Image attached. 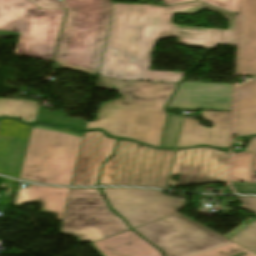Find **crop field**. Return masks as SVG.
Instances as JSON below:
<instances>
[{
  "label": "crop field",
  "instance_id": "crop-field-1",
  "mask_svg": "<svg viewBox=\"0 0 256 256\" xmlns=\"http://www.w3.org/2000/svg\"><path fill=\"white\" fill-rule=\"evenodd\" d=\"M114 14L99 75L121 80L178 82L184 72L149 71L155 41L178 36L177 44L212 48L235 44L237 15L192 2L169 7L114 3ZM200 9L217 12L231 23L229 30L177 26L173 14H194Z\"/></svg>",
  "mask_w": 256,
  "mask_h": 256
},
{
  "label": "crop field",
  "instance_id": "crop-field-2",
  "mask_svg": "<svg viewBox=\"0 0 256 256\" xmlns=\"http://www.w3.org/2000/svg\"><path fill=\"white\" fill-rule=\"evenodd\" d=\"M176 83L128 81L98 77L95 87L119 91L121 98L101 105L95 122L85 130L103 129L106 133L158 147L165 118V105Z\"/></svg>",
  "mask_w": 256,
  "mask_h": 256
},
{
  "label": "crop field",
  "instance_id": "crop-field-3",
  "mask_svg": "<svg viewBox=\"0 0 256 256\" xmlns=\"http://www.w3.org/2000/svg\"><path fill=\"white\" fill-rule=\"evenodd\" d=\"M38 8L65 9L58 0H31ZM68 7L55 60L94 74L99 73L108 26L113 14L111 0H65Z\"/></svg>",
  "mask_w": 256,
  "mask_h": 256
},
{
  "label": "crop field",
  "instance_id": "crop-field-4",
  "mask_svg": "<svg viewBox=\"0 0 256 256\" xmlns=\"http://www.w3.org/2000/svg\"><path fill=\"white\" fill-rule=\"evenodd\" d=\"M83 136L68 127L34 125L20 179L70 185Z\"/></svg>",
  "mask_w": 256,
  "mask_h": 256
},
{
  "label": "crop field",
  "instance_id": "crop-field-5",
  "mask_svg": "<svg viewBox=\"0 0 256 256\" xmlns=\"http://www.w3.org/2000/svg\"><path fill=\"white\" fill-rule=\"evenodd\" d=\"M65 10L37 9L30 0H0V38L18 39L14 54L54 56Z\"/></svg>",
  "mask_w": 256,
  "mask_h": 256
},
{
  "label": "crop field",
  "instance_id": "crop-field-6",
  "mask_svg": "<svg viewBox=\"0 0 256 256\" xmlns=\"http://www.w3.org/2000/svg\"><path fill=\"white\" fill-rule=\"evenodd\" d=\"M177 215L134 230L167 256H256L191 219Z\"/></svg>",
  "mask_w": 256,
  "mask_h": 256
},
{
  "label": "crop field",
  "instance_id": "crop-field-7",
  "mask_svg": "<svg viewBox=\"0 0 256 256\" xmlns=\"http://www.w3.org/2000/svg\"><path fill=\"white\" fill-rule=\"evenodd\" d=\"M173 153L120 140L116 155L104 164L100 185L165 188Z\"/></svg>",
  "mask_w": 256,
  "mask_h": 256
},
{
  "label": "crop field",
  "instance_id": "crop-field-8",
  "mask_svg": "<svg viewBox=\"0 0 256 256\" xmlns=\"http://www.w3.org/2000/svg\"><path fill=\"white\" fill-rule=\"evenodd\" d=\"M129 230L98 189H71L60 232L79 236L80 242H94Z\"/></svg>",
  "mask_w": 256,
  "mask_h": 256
},
{
  "label": "crop field",
  "instance_id": "crop-field-9",
  "mask_svg": "<svg viewBox=\"0 0 256 256\" xmlns=\"http://www.w3.org/2000/svg\"><path fill=\"white\" fill-rule=\"evenodd\" d=\"M112 208L126 219L132 229L177 214L185 207L161 191L103 188Z\"/></svg>",
  "mask_w": 256,
  "mask_h": 256
},
{
  "label": "crop field",
  "instance_id": "crop-field-10",
  "mask_svg": "<svg viewBox=\"0 0 256 256\" xmlns=\"http://www.w3.org/2000/svg\"><path fill=\"white\" fill-rule=\"evenodd\" d=\"M229 153L210 147L176 152L168 185L183 186L195 183L227 182ZM179 175L178 182L172 176Z\"/></svg>",
  "mask_w": 256,
  "mask_h": 256
},
{
  "label": "crop field",
  "instance_id": "crop-field-11",
  "mask_svg": "<svg viewBox=\"0 0 256 256\" xmlns=\"http://www.w3.org/2000/svg\"><path fill=\"white\" fill-rule=\"evenodd\" d=\"M232 112L203 111L202 119L212 123V129L199 126V121L184 118L177 147L207 144L229 147Z\"/></svg>",
  "mask_w": 256,
  "mask_h": 256
},
{
  "label": "crop field",
  "instance_id": "crop-field-12",
  "mask_svg": "<svg viewBox=\"0 0 256 256\" xmlns=\"http://www.w3.org/2000/svg\"><path fill=\"white\" fill-rule=\"evenodd\" d=\"M115 142L101 131L85 133L71 185H97L102 163L113 155Z\"/></svg>",
  "mask_w": 256,
  "mask_h": 256
},
{
  "label": "crop field",
  "instance_id": "crop-field-13",
  "mask_svg": "<svg viewBox=\"0 0 256 256\" xmlns=\"http://www.w3.org/2000/svg\"><path fill=\"white\" fill-rule=\"evenodd\" d=\"M233 86L182 82L169 107L232 111Z\"/></svg>",
  "mask_w": 256,
  "mask_h": 256
},
{
  "label": "crop field",
  "instance_id": "crop-field-14",
  "mask_svg": "<svg viewBox=\"0 0 256 256\" xmlns=\"http://www.w3.org/2000/svg\"><path fill=\"white\" fill-rule=\"evenodd\" d=\"M32 127L0 120V174L19 178Z\"/></svg>",
  "mask_w": 256,
  "mask_h": 256
},
{
  "label": "crop field",
  "instance_id": "crop-field-15",
  "mask_svg": "<svg viewBox=\"0 0 256 256\" xmlns=\"http://www.w3.org/2000/svg\"><path fill=\"white\" fill-rule=\"evenodd\" d=\"M238 74L256 76V0H242Z\"/></svg>",
  "mask_w": 256,
  "mask_h": 256
},
{
  "label": "crop field",
  "instance_id": "crop-field-16",
  "mask_svg": "<svg viewBox=\"0 0 256 256\" xmlns=\"http://www.w3.org/2000/svg\"><path fill=\"white\" fill-rule=\"evenodd\" d=\"M92 245L103 256H163L153 245L129 230Z\"/></svg>",
  "mask_w": 256,
  "mask_h": 256
},
{
  "label": "crop field",
  "instance_id": "crop-field-17",
  "mask_svg": "<svg viewBox=\"0 0 256 256\" xmlns=\"http://www.w3.org/2000/svg\"><path fill=\"white\" fill-rule=\"evenodd\" d=\"M69 190L30 184L29 189H19L16 206L27 202L40 203L41 213L57 214L56 220H61Z\"/></svg>",
  "mask_w": 256,
  "mask_h": 256
},
{
  "label": "crop field",
  "instance_id": "crop-field-18",
  "mask_svg": "<svg viewBox=\"0 0 256 256\" xmlns=\"http://www.w3.org/2000/svg\"><path fill=\"white\" fill-rule=\"evenodd\" d=\"M234 134L256 135V79L237 87Z\"/></svg>",
  "mask_w": 256,
  "mask_h": 256
},
{
  "label": "crop field",
  "instance_id": "crop-field-19",
  "mask_svg": "<svg viewBox=\"0 0 256 256\" xmlns=\"http://www.w3.org/2000/svg\"><path fill=\"white\" fill-rule=\"evenodd\" d=\"M38 102L0 98V117H17L25 122H35Z\"/></svg>",
  "mask_w": 256,
  "mask_h": 256
},
{
  "label": "crop field",
  "instance_id": "crop-field-20",
  "mask_svg": "<svg viewBox=\"0 0 256 256\" xmlns=\"http://www.w3.org/2000/svg\"><path fill=\"white\" fill-rule=\"evenodd\" d=\"M238 199L242 202V205L239 206L240 209L256 214L255 197H240ZM230 240L256 253V222Z\"/></svg>",
  "mask_w": 256,
  "mask_h": 256
},
{
  "label": "crop field",
  "instance_id": "crop-field-21",
  "mask_svg": "<svg viewBox=\"0 0 256 256\" xmlns=\"http://www.w3.org/2000/svg\"><path fill=\"white\" fill-rule=\"evenodd\" d=\"M252 153H234L232 181L256 183V174L251 173Z\"/></svg>",
  "mask_w": 256,
  "mask_h": 256
},
{
  "label": "crop field",
  "instance_id": "crop-field-22",
  "mask_svg": "<svg viewBox=\"0 0 256 256\" xmlns=\"http://www.w3.org/2000/svg\"><path fill=\"white\" fill-rule=\"evenodd\" d=\"M66 115V112L58 110L53 112L49 109L39 107L36 120L48 124H67L78 130H84L86 121L76 118H69L66 117Z\"/></svg>",
  "mask_w": 256,
  "mask_h": 256
},
{
  "label": "crop field",
  "instance_id": "crop-field-23",
  "mask_svg": "<svg viewBox=\"0 0 256 256\" xmlns=\"http://www.w3.org/2000/svg\"><path fill=\"white\" fill-rule=\"evenodd\" d=\"M181 122H182V117L172 116V115L168 116L161 147H165V148L175 147Z\"/></svg>",
  "mask_w": 256,
  "mask_h": 256
},
{
  "label": "crop field",
  "instance_id": "crop-field-24",
  "mask_svg": "<svg viewBox=\"0 0 256 256\" xmlns=\"http://www.w3.org/2000/svg\"><path fill=\"white\" fill-rule=\"evenodd\" d=\"M165 5L175 4L180 2H186L191 0H162ZM206 3L212 4L214 6L233 11L237 13L238 10V0H200Z\"/></svg>",
  "mask_w": 256,
  "mask_h": 256
},
{
  "label": "crop field",
  "instance_id": "crop-field-25",
  "mask_svg": "<svg viewBox=\"0 0 256 256\" xmlns=\"http://www.w3.org/2000/svg\"><path fill=\"white\" fill-rule=\"evenodd\" d=\"M239 194H256V184L232 182Z\"/></svg>",
  "mask_w": 256,
  "mask_h": 256
},
{
  "label": "crop field",
  "instance_id": "crop-field-26",
  "mask_svg": "<svg viewBox=\"0 0 256 256\" xmlns=\"http://www.w3.org/2000/svg\"><path fill=\"white\" fill-rule=\"evenodd\" d=\"M254 221L248 219L245 222H243L241 225H239L238 227H236L235 229H233L232 231H230L228 234H226L224 237L230 239L233 236H235L237 233H239L240 231H242L243 229H245L246 227H248L250 224H252Z\"/></svg>",
  "mask_w": 256,
  "mask_h": 256
},
{
  "label": "crop field",
  "instance_id": "crop-field-27",
  "mask_svg": "<svg viewBox=\"0 0 256 256\" xmlns=\"http://www.w3.org/2000/svg\"><path fill=\"white\" fill-rule=\"evenodd\" d=\"M244 152H256V137H252Z\"/></svg>",
  "mask_w": 256,
  "mask_h": 256
},
{
  "label": "crop field",
  "instance_id": "crop-field-28",
  "mask_svg": "<svg viewBox=\"0 0 256 256\" xmlns=\"http://www.w3.org/2000/svg\"><path fill=\"white\" fill-rule=\"evenodd\" d=\"M56 65L59 66V67H65V68L75 69V68H71V67L64 66V65H61V64H57V63H56ZM75 70H78V69H75ZM90 74H91V73H90ZM93 75H94V74H93Z\"/></svg>",
  "mask_w": 256,
  "mask_h": 256
},
{
  "label": "crop field",
  "instance_id": "crop-field-29",
  "mask_svg": "<svg viewBox=\"0 0 256 256\" xmlns=\"http://www.w3.org/2000/svg\"><path fill=\"white\" fill-rule=\"evenodd\" d=\"M255 154V162H254V169H253V172H256V153Z\"/></svg>",
  "mask_w": 256,
  "mask_h": 256
}]
</instances>
